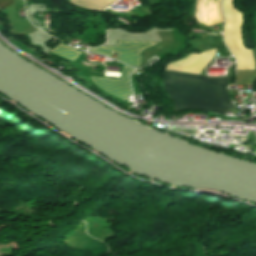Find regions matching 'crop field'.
<instances>
[{
	"label": "crop field",
	"mask_w": 256,
	"mask_h": 256,
	"mask_svg": "<svg viewBox=\"0 0 256 256\" xmlns=\"http://www.w3.org/2000/svg\"><path fill=\"white\" fill-rule=\"evenodd\" d=\"M216 49L201 54H190L186 58L166 65V69L199 74L212 60ZM166 72L163 80L169 98L176 101L174 112L204 109L224 115L234 106L226 86L229 80L200 78L195 74L175 71Z\"/></svg>",
	"instance_id": "obj_1"
},
{
	"label": "crop field",
	"mask_w": 256,
	"mask_h": 256,
	"mask_svg": "<svg viewBox=\"0 0 256 256\" xmlns=\"http://www.w3.org/2000/svg\"><path fill=\"white\" fill-rule=\"evenodd\" d=\"M223 11L226 17L224 41L238 60L237 69H254L252 51L244 48L240 32L242 14L232 5L231 0H223Z\"/></svg>",
	"instance_id": "obj_2"
},
{
	"label": "crop field",
	"mask_w": 256,
	"mask_h": 256,
	"mask_svg": "<svg viewBox=\"0 0 256 256\" xmlns=\"http://www.w3.org/2000/svg\"><path fill=\"white\" fill-rule=\"evenodd\" d=\"M157 43L146 41H118V47H97L89 51L102 53L111 56L117 53V60L127 63L131 66L137 67L140 65L139 53L149 46H154Z\"/></svg>",
	"instance_id": "obj_3"
},
{
	"label": "crop field",
	"mask_w": 256,
	"mask_h": 256,
	"mask_svg": "<svg viewBox=\"0 0 256 256\" xmlns=\"http://www.w3.org/2000/svg\"><path fill=\"white\" fill-rule=\"evenodd\" d=\"M132 70L124 65L122 79H108L93 76H90V78L96 86L128 102L127 96L132 95L128 84L129 74Z\"/></svg>",
	"instance_id": "obj_4"
},
{
	"label": "crop field",
	"mask_w": 256,
	"mask_h": 256,
	"mask_svg": "<svg viewBox=\"0 0 256 256\" xmlns=\"http://www.w3.org/2000/svg\"><path fill=\"white\" fill-rule=\"evenodd\" d=\"M222 0H198L197 18L204 25H213L224 22L221 12Z\"/></svg>",
	"instance_id": "obj_5"
},
{
	"label": "crop field",
	"mask_w": 256,
	"mask_h": 256,
	"mask_svg": "<svg viewBox=\"0 0 256 256\" xmlns=\"http://www.w3.org/2000/svg\"><path fill=\"white\" fill-rule=\"evenodd\" d=\"M50 52L60 55L65 59L71 60L73 62L81 54V52L68 48L60 43L56 47H54Z\"/></svg>",
	"instance_id": "obj_6"
},
{
	"label": "crop field",
	"mask_w": 256,
	"mask_h": 256,
	"mask_svg": "<svg viewBox=\"0 0 256 256\" xmlns=\"http://www.w3.org/2000/svg\"><path fill=\"white\" fill-rule=\"evenodd\" d=\"M14 0H0V9L8 7Z\"/></svg>",
	"instance_id": "obj_7"
},
{
	"label": "crop field",
	"mask_w": 256,
	"mask_h": 256,
	"mask_svg": "<svg viewBox=\"0 0 256 256\" xmlns=\"http://www.w3.org/2000/svg\"><path fill=\"white\" fill-rule=\"evenodd\" d=\"M254 52V59H256V48L253 49Z\"/></svg>",
	"instance_id": "obj_8"
}]
</instances>
